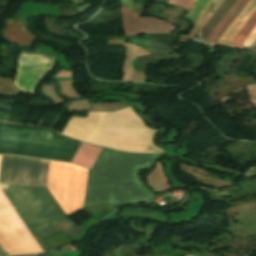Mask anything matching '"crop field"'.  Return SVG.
Returning a JSON list of instances; mask_svg holds the SVG:
<instances>
[{"label":"crop field","mask_w":256,"mask_h":256,"mask_svg":"<svg viewBox=\"0 0 256 256\" xmlns=\"http://www.w3.org/2000/svg\"><path fill=\"white\" fill-rule=\"evenodd\" d=\"M256 37V27L254 30L246 37L242 46L250 47L254 38Z\"/></svg>","instance_id":"crop-field-18"},{"label":"crop field","mask_w":256,"mask_h":256,"mask_svg":"<svg viewBox=\"0 0 256 256\" xmlns=\"http://www.w3.org/2000/svg\"><path fill=\"white\" fill-rule=\"evenodd\" d=\"M194 1H195V0H190L189 3L187 4L188 0H179V2H178V0H169V1H168V4H171V5L176 6V4H177V2H178L177 5H178V6H182V7H185L186 4H187V6H186L185 9L188 10V9L191 7V5L194 3Z\"/></svg>","instance_id":"crop-field-17"},{"label":"crop field","mask_w":256,"mask_h":256,"mask_svg":"<svg viewBox=\"0 0 256 256\" xmlns=\"http://www.w3.org/2000/svg\"><path fill=\"white\" fill-rule=\"evenodd\" d=\"M2 125H3V123H2V122H0V129H1Z\"/></svg>","instance_id":"crop-field-20"},{"label":"crop field","mask_w":256,"mask_h":256,"mask_svg":"<svg viewBox=\"0 0 256 256\" xmlns=\"http://www.w3.org/2000/svg\"><path fill=\"white\" fill-rule=\"evenodd\" d=\"M0 255H1V253H0Z\"/></svg>","instance_id":"crop-field-21"},{"label":"crop field","mask_w":256,"mask_h":256,"mask_svg":"<svg viewBox=\"0 0 256 256\" xmlns=\"http://www.w3.org/2000/svg\"><path fill=\"white\" fill-rule=\"evenodd\" d=\"M100 150H101L100 147L81 143L72 162L91 169Z\"/></svg>","instance_id":"crop-field-10"},{"label":"crop field","mask_w":256,"mask_h":256,"mask_svg":"<svg viewBox=\"0 0 256 256\" xmlns=\"http://www.w3.org/2000/svg\"><path fill=\"white\" fill-rule=\"evenodd\" d=\"M256 10V0H251L245 7L243 12L238 18L231 24L226 32L221 36L218 44L229 45L234 36L240 30V28L246 23V21L252 16Z\"/></svg>","instance_id":"crop-field-7"},{"label":"crop field","mask_w":256,"mask_h":256,"mask_svg":"<svg viewBox=\"0 0 256 256\" xmlns=\"http://www.w3.org/2000/svg\"><path fill=\"white\" fill-rule=\"evenodd\" d=\"M54 63L40 65L17 64L15 86L21 92L34 94L39 79L52 70Z\"/></svg>","instance_id":"crop-field-5"},{"label":"crop field","mask_w":256,"mask_h":256,"mask_svg":"<svg viewBox=\"0 0 256 256\" xmlns=\"http://www.w3.org/2000/svg\"><path fill=\"white\" fill-rule=\"evenodd\" d=\"M19 93L13 84V79L0 77V95L17 97Z\"/></svg>","instance_id":"crop-field-14"},{"label":"crop field","mask_w":256,"mask_h":256,"mask_svg":"<svg viewBox=\"0 0 256 256\" xmlns=\"http://www.w3.org/2000/svg\"><path fill=\"white\" fill-rule=\"evenodd\" d=\"M155 133L131 107H126L116 112H89L86 118L73 116L61 134L117 150L163 152L152 142Z\"/></svg>","instance_id":"crop-field-2"},{"label":"crop field","mask_w":256,"mask_h":256,"mask_svg":"<svg viewBox=\"0 0 256 256\" xmlns=\"http://www.w3.org/2000/svg\"><path fill=\"white\" fill-rule=\"evenodd\" d=\"M211 1V0H210ZM224 0H212L207 7L204 9V11L199 16L196 24L188 34V37L194 39L197 32L200 30V28L203 26V24L210 18V16L215 12V10L220 6V4Z\"/></svg>","instance_id":"crop-field-11"},{"label":"crop field","mask_w":256,"mask_h":256,"mask_svg":"<svg viewBox=\"0 0 256 256\" xmlns=\"http://www.w3.org/2000/svg\"><path fill=\"white\" fill-rule=\"evenodd\" d=\"M0 188L29 234L43 251L50 249L46 238L61 231L71 239L84 229L65 215L46 188L3 185H0ZM1 190L0 244L2 248L9 254L42 252Z\"/></svg>","instance_id":"crop-field-1"},{"label":"crop field","mask_w":256,"mask_h":256,"mask_svg":"<svg viewBox=\"0 0 256 256\" xmlns=\"http://www.w3.org/2000/svg\"><path fill=\"white\" fill-rule=\"evenodd\" d=\"M256 25V12L253 16L248 20V22L242 27L233 41L230 43L232 46L241 47L244 38L253 30Z\"/></svg>","instance_id":"crop-field-13"},{"label":"crop field","mask_w":256,"mask_h":256,"mask_svg":"<svg viewBox=\"0 0 256 256\" xmlns=\"http://www.w3.org/2000/svg\"><path fill=\"white\" fill-rule=\"evenodd\" d=\"M18 61L25 64H40L54 62V59L20 57Z\"/></svg>","instance_id":"crop-field-16"},{"label":"crop field","mask_w":256,"mask_h":256,"mask_svg":"<svg viewBox=\"0 0 256 256\" xmlns=\"http://www.w3.org/2000/svg\"><path fill=\"white\" fill-rule=\"evenodd\" d=\"M148 184L153 187L157 192L165 191L170 188L169 183L162 173V167L157 163L155 171L149 175Z\"/></svg>","instance_id":"crop-field-12"},{"label":"crop field","mask_w":256,"mask_h":256,"mask_svg":"<svg viewBox=\"0 0 256 256\" xmlns=\"http://www.w3.org/2000/svg\"><path fill=\"white\" fill-rule=\"evenodd\" d=\"M3 38L24 47L31 46L34 36L26 29V25L17 21L6 19Z\"/></svg>","instance_id":"crop-field-6"},{"label":"crop field","mask_w":256,"mask_h":256,"mask_svg":"<svg viewBox=\"0 0 256 256\" xmlns=\"http://www.w3.org/2000/svg\"><path fill=\"white\" fill-rule=\"evenodd\" d=\"M210 2V0H196V2L189 9L186 19L195 23L201 11L205 8V6Z\"/></svg>","instance_id":"crop-field-15"},{"label":"crop field","mask_w":256,"mask_h":256,"mask_svg":"<svg viewBox=\"0 0 256 256\" xmlns=\"http://www.w3.org/2000/svg\"><path fill=\"white\" fill-rule=\"evenodd\" d=\"M125 36L159 32L170 33L176 27L154 17H138L133 11L121 8Z\"/></svg>","instance_id":"crop-field-4"},{"label":"crop field","mask_w":256,"mask_h":256,"mask_svg":"<svg viewBox=\"0 0 256 256\" xmlns=\"http://www.w3.org/2000/svg\"><path fill=\"white\" fill-rule=\"evenodd\" d=\"M251 47L256 48V39L254 40V42H253V44H252V46H251Z\"/></svg>","instance_id":"crop-field-19"},{"label":"crop field","mask_w":256,"mask_h":256,"mask_svg":"<svg viewBox=\"0 0 256 256\" xmlns=\"http://www.w3.org/2000/svg\"><path fill=\"white\" fill-rule=\"evenodd\" d=\"M250 0H238L233 8L226 14L220 24L211 33L207 43L216 44L220 36L225 32L229 25L237 18L242 12L244 7Z\"/></svg>","instance_id":"crop-field-8"},{"label":"crop field","mask_w":256,"mask_h":256,"mask_svg":"<svg viewBox=\"0 0 256 256\" xmlns=\"http://www.w3.org/2000/svg\"><path fill=\"white\" fill-rule=\"evenodd\" d=\"M87 170L50 161L46 188L68 215L82 208Z\"/></svg>","instance_id":"crop-field-3"},{"label":"crop field","mask_w":256,"mask_h":256,"mask_svg":"<svg viewBox=\"0 0 256 256\" xmlns=\"http://www.w3.org/2000/svg\"><path fill=\"white\" fill-rule=\"evenodd\" d=\"M237 0H225L211 18L204 24L200 30L198 37L201 41L206 42L210 33L219 24L225 14L232 8Z\"/></svg>","instance_id":"crop-field-9"}]
</instances>
